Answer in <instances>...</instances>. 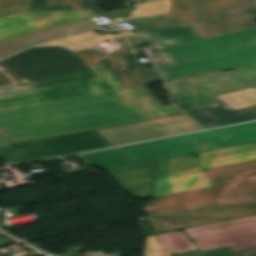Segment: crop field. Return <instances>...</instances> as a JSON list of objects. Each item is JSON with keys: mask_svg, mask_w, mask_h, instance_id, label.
<instances>
[{"mask_svg": "<svg viewBox=\"0 0 256 256\" xmlns=\"http://www.w3.org/2000/svg\"><path fill=\"white\" fill-rule=\"evenodd\" d=\"M181 113L175 106L127 113L108 93L0 113V134L13 143Z\"/></svg>", "mask_w": 256, "mask_h": 256, "instance_id": "1", "label": "crop field"}, {"mask_svg": "<svg viewBox=\"0 0 256 256\" xmlns=\"http://www.w3.org/2000/svg\"><path fill=\"white\" fill-rule=\"evenodd\" d=\"M117 52L85 56L66 48H33L0 62V88L104 68L99 60L135 53L122 39Z\"/></svg>", "mask_w": 256, "mask_h": 256, "instance_id": "2", "label": "crop field"}, {"mask_svg": "<svg viewBox=\"0 0 256 256\" xmlns=\"http://www.w3.org/2000/svg\"><path fill=\"white\" fill-rule=\"evenodd\" d=\"M256 0H172L155 27L194 25L200 39L255 28Z\"/></svg>", "mask_w": 256, "mask_h": 256, "instance_id": "3", "label": "crop field"}, {"mask_svg": "<svg viewBox=\"0 0 256 256\" xmlns=\"http://www.w3.org/2000/svg\"><path fill=\"white\" fill-rule=\"evenodd\" d=\"M256 142V122L203 131L117 149L133 164Z\"/></svg>", "mask_w": 256, "mask_h": 256, "instance_id": "4", "label": "crop field"}, {"mask_svg": "<svg viewBox=\"0 0 256 256\" xmlns=\"http://www.w3.org/2000/svg\"><path fill=\"white\" fill-rule=\"evenodd\" d=\"M110 145L95 131L53 137L37 142L1 147L0 157L9 165L70 155Z\"/></svg>", "mask_w": 256, "mask_h": 256, "instance_id": "5", "label": "crop field"}, {"mask_svg": "<svg viewBox=\"0 0 256 256\" xmlns=\"http://www.w3.org/2000/svg\"><path fill=\"white\" fill-rule=\"evenodd\" d=\"M227 53L158 66L166 79L256 64V38L221 45Z\"/></svg>", "mask_w": 256, "mask_h": 256, "instance_id": "6", "label": "crop field"}, {"mask_svg": "<svg viewBox=\"0 0 256 256\" xmlns=\"http://www.w3.org/2000/svg\"><path fill=\"white\" fill-rule=\"evenodd\" d=\"M252 195H256V179L159 197L144 206L143 209L147 216H150Z\"/></svg>", "mask_w": 256, "mask_h": 256, "instance_id": "7", "label": "crop field"}, {"mask_svg": "<svg viewBox=\"0 0 256 256\" xmlns=\"http://www.w3.org/2000/svg\"><path fill=\"white\" fill-rule=\"evenodd\" d=\"M124 88L113 75L0 97V112Z\"/></svg>", "mask_w": 256, "mask_h": 256, "instance_id": "8", "label": "crop field"}, {"mask_svg": "<svg viewBox=\"0 0 256 256\" xmlns=\"http://www.w3.org/2000/svg\"><path fill=\"white\" fill-rule=\"evenodd\" d=\"M252 215H256V197L151 217L149 220L152 221L158 233H161Z\"/></svg>", "mask_w": 256, "mask_h": 256, "instance_id": "9", "label": "crop field"}, {"mask_svg": "<svg viewBox=\"0 0 256 256\" xmlns=\"http://www.w3.org/2000/svg\"><path fill=\"white\" fill-rule=\"evenodd\" d=\"M202 250L230 246L239 251L256 247V216L185 229Z\"/></svg>", "mask_w": 256, "mask_h": 256, "instance_id": "10", "label": "crop field"}, {"mask_svg": "<svg viewBox=\"0 0 256 256\" xmlns=\"http://www.w3.org/2000/svg\"><path fill=\"white\" fill-rule=\"evenodd\" d=\"M203 129L185 114L96 130L113 146Z\"/></svg>", "mask_w": 256, "mask_h": 256, "instance_id": "11", "label": "crop field"}, {"mask_svg": "<svg viewBox=\"0 0 256 256\" xmlns=\"http://www.w3.org/2000/svg\"><path fill=\"white\" fill-rule=\"evenodd\" d=\"M157 162L155 179L256 160V143Z\"/></svg>", "mask_w": 256, "mask_h": 256, "instance_id": "12", "label": "crop field"}, {"mask_svg": "<svg viewBox=\"0 0 256 256\" xmlns=\"http://www.w3.org/2000/svg\"><path fill=\"white\" fill-rule=\"evenodd\" d=\"M90 16L89 11H37L0 17V39Z\"/></svg>", "mask_w": 256, "mask_h": 256, "instance_id": "13", "label": "crop field"}, {"mask_svg": "<svg viewBox=\"0 0 256 256\" xmlns=\"http://www.w3.org/2000/svg\"><path fill=\"white\" fill-rule=\"evenodd\" d=\"M206 97L256 86V65L183 79Z\"/></svg>", "mask_w": 256, "mask_h": 256, "instance_id": "14", "label": "crop field"}, {"mask_svg": "<svg viewBox=\"0 0 256 256\" xmlns=\"http://www.w3.org/2000/svg\"><path fill=\"white\" fill-rule=\"evenodd\" d=\"M96 27L98 25L88 18L3 39L0 40V59L31 45L60 36L87 31Z\"/></svg>", "mask_w": 256, "mask_h": 256, "instance_id": "15", "label": "crop field"}, {"mask_svg": "<svg viewBox=\"0 0 256 256\" xmlns=\"http://www.w3.org/2000/svg\"><path fill=\"white\" fill-rule=\"evenodd\" d=\"M256 37V28L232 34L216 36L208 39L197 40L177 46L164 47L162 50L173 61H182L183 58H195L206 55L224 53L219 44Z\"/></svg>", "mask_w": 256, "mask_h": 256, "instance_id": "16", "label": "crop field"}, {"mask_svg": "<svg viewBox=\"0 0 256 256\" xmlns=\"http://www.w3.org/2000/svg\"><path fill=\"white\" fill-rule=\"evenodd\" d=\"M102 63L125 88L163 81L155 68L145 69L134 54L103 60Z\"/></svg>", "mask_w": 256, "mask_h": 256, "instance_id": "17", "label": "crop field"}, {"mask_svg": "<svg viewBox=\"0 0 256 256\" xmlns=\"http://www.w3.org/2000/svg\"><path fill=\"white\" fill-rule=\"evenodd\" d=\"M205 128L256 120V105L236 111H228L224 107L198 111L189 115Z\"/></svg>", "mask_w": 256, "mask_h": 256, "instance_id": "18", "label": "crop field"}, {"mask_svg": "<svg viewBox=\"0 0 256 256\" xmlns=\"http://www.w3.org/2000/svg\"><path fill=\"white\" fill-rule=\"evenodd\" d=\"M209 186L204 171L167 177L156 180L153 198Z\"/></svg>", "mask_w": 256, "mask_h": 256, "instance_id": "19", "label": "crop field"}, {"mask_svg": "<svg viewBox=\"0 0 256 256\" xmlns=\"http://www.w3.org/2000/svg\"><path fill=\"white\" fill-rule=\"evenodd\" d=\"M127 111H138L162 106L145 86L109 92Z\"/></svg>", "mask_w": 256, "mask_h": 256, "instance_id": "20", "label": "crop field"}, {"mask_svg": "<svg viewBox=\"0 0 256 256\" xmlns=\"http://www.w3.org/2000/svg\"><path fill=\"white\" fill-rule=\"evenodd\" d=\"M213 186L256 178V161L205 170Z\"/></svg>", "mask_w": 256, "mask_h": 256, "instance_id": "21", "label": "crop field"}, {"mask_svg": "<svg viewBox=\"0 0 256 256\" xmlns=\"http://www.w3.org/2000/svg\"><path fill=\"white\" fill-rule=\"evenodd\" d=\"M110 74L111 73L109 72V70L107 68H104V69L94 70V71H90V72H85V73L60 77V78H56V79L36 82V83H33L30 86H26V87L15 86V87L0 89V96L34 90V89H40V88H45V87H50V86H55V85H60V84H65V83H70V82L110 75Z\"/></svg>", "mask_w": 256, "mask_h": 256, "instance_id": "22", "label": "crop field"}, {"mask_svg": "<svg viewBox=\"0 0 256 256\" xmlns=\"http://www.w3.org/2000/svg\"><path fill=\"white\" fill-rule=\"evenodd\" d=\"M195 27V26H194ZM193 26L156 28L157 31L134 32L138 39L164 40L172 43H185L199 39ZM151 35V36H148Z\"/></svg>", "mask_w": 256, "mask_h": 256, "instance_id": "23", "label": "crop field"}, {"mask_svg": "<svg viewBox=\"0 0 256 256\" xmlns=\"http://www.w3.org/2000/svg\"><path fill=\"white\" fill-rule=\"evenodd\" d=\"M154 164L155 162L111 169L107 172L116 179L120 186H123L152 180Z\"/></svg>", "mask_w": 256, "mask_h": 256, "instance_id": "24", "label": "crop field"}, {"mask_svg": "<svg viewBox=\"0 0 256 256\" xmlns=\"http://www.w3.org/2000/svg\"><path fill=\"white\" fill-rule=\"evenodd\" d=\"M83 156L92 166L101 167L103 170L131 165L114 149L84 154Z\"/></svg>", "mask_w": 256, "mask_h": 256, "instance_id": "25", "label": "crop field"}, {"mask_svg": "<svg viewBox=\"0 0 256 256\" xmlns=\"http://www.w3.org/2000/svg\"><path fill=\"white\" fill-rule=\"evenodd\" d=\"M111 38H114V37L109 33L99 37L94 32L90 31L85 34L58 39V40L50 41L41 45L60 44L71 50H79Z\"/></svg>", "mask_w": 256, "mask_h": 256, "instance_id": "26", "label": "crop field"}, {"mask_svg": "<svg viewBox=\"0 0 256 256\" xmlns=\"http://www.w3.org/2000/svg\"><path fill=\"white\" fill-rule=\"evenodd\" d=\"M211 99L217 101L228 110H235L237 108L256 104V88Z\"/></svg>", "mask_w": 256, "mask_h": 256, "instance_id": "27", "label": "crop field"}, {"mask_svg": "<svg viewBox=\"0 0 256 256\" xmlns=\"http://www.w3.org/2000/svg\"><path fill=\"white\" fill-rule=\"evenodd\" d=\"M158 237L172 252V254L193 251L197 249L183 232H171L158 235Z\"/></svg>", "mask_w": 256, "mask_h": 256, "instance_id": "28", "label": "crop field"}, {"mask_svg": "<svg viewBox=\"0 0 256 256\" xmlns=\"http://www.w3.org/2000/svg\"><path fill=\"white\" fill-rule=\"evenodd\" d=\"M87 10L75 0H32L27 11Z\"/></svg>", "mask_w": 256, "mask_h": 256, "instance_id": "29", "label": "crop field"}, {"mask_svg": "<svg viewBox=\"0 0 256 256\" xmlns=\"http://www.w3.org/2000/svg\"><path fill=\"white\" fill-rule=\"evenodd\" d=\"M167 86L171 92L172 100L176 103L205 98L181 80L170 82Z\"/></svg>", "mask_w": 256, "mask_h": 256, "instance_id": "30", "label": "crop field"}, {"mask_svg": "<svg viewBox=\"0 0 256 256\" xmlns=\"http://www.w3.org/2000/svg\"><path fill=\"white\" fill-rule=\"evenodd\" d=\"M171 13V0H159L137 6L134 17Z\"/></svg>", "mask_w": 256, "mask_h": 256, "instance_id": "31", "label": "crop field"}, {"mask_svg": "<svg viewBox=\"0 0 256 256\" xmlns=\"http://www.w3.org/2000/svg\"><path fill=\"white\" fill-rule=\"evenodd\" d=\"M172 255L160 239L154 235L147 237L144 256H170Z\"/></svg>", "mask_w": 256, "mask_h": 256, "instance_id": "32", "label": "crop field"}, {"mask_svg": "<svg viewBox=\"0 0 256 256\" xmlns=\"http://www.w3.org/2000/svg\"><path fill=\"white\" fill-rule=\"evenodd\" d=\"M30 0H0V16L26 11Z\"/></svg>", "mask_w": 256, "mask_h": 256, "instance_id": "33", "label": "crop field"}, {"mask_svg": "<svg viewBox=\"0 0 256 256\" xmlns=\"http://www.w3.org/2000/svg\"><path fill=\"white\" fill-rule=\"evenodd\" d=\"M150 188L151 181L122 187V189H124L135 199L149 196Z\"/></svg>", "mask_w": 256, "mask_h": 256, "instance_id": "34", "label": "crop field"}, {"mask_svg": "<svg viewBox=\"0 0 256 256\" xmlns=\"http://www.w3.org/2000/svg\"><path fill=\"white\" fill-rule=\"evenodd\" d=\"M176 105L185 112L218 106V105H216L215 103H213L212 101H210L208 99L186 102V103H180V104H176Z\"/></svg>", "mask_w": 256, "mask_h": 256, "instance_id": "35", "label": "crop field"}, {"mask_svg": "<svg viewBox=\"0 0 256 256\" xmlns=\"http://www.w3.org/2000/svg\"><path fill=\"white\" fill-rule=\"evenodd\" d=\"M183 256H236V255L235 253L232 252L230 247H226V248L194 253L189 255H183Z\"/></svg>", "mask_w": 256, "mask_h": 256, "instance_id": "36", "label": "crop field"}, {"mask_svg": "<svg viewBox=\"0 0 256 256\" xmlns=\"http://www.w3.org/2000/svg\"><path fill=\"white\" fill-rule=\"evenodd\" d=\"M80 4H82L85 8H87L92 14L97 15L102 12L97 9L94 5L100 4L99 0H76Z\"/></svg>", "mask_w": 256, "mask_h": 256, "instance_id": "37", "label": "crop field"}, {"mask_svg": "<svg viewBox=\"0 0 256 256\" xmlns=\"http://www.w3.org/2000/svg\"><path fill=\"white\" fill-rule=\"evenodd\" d=\"M140 41V43L142 44V45H146V44H150L149 42H148V40H146V39H141V40H139ZM172 43H169V42H163V41H155L153 44H151V45H153L154 47H156V48H162V47H164V46H167V45H171Z\"/></svg>", "mask_w": 256, "mask_h": 256, "instance_id": "38", "label": "crop field"}, {"mask_svg": "<svg viewBox=\"0 0 256 256\" xmlns=\"http://www.w3.org/2000/svg\"><path fill=\"white\" fill-rule=\"evenodd\" d=\"M237 256H256V248L236 252Z\"/></svg>", "mask_w": 256, "mask_h": 256, "instance_id": "39", "label": "crop field"}, {"mask_svg": "<svg viewBox=\"0 0 256 256\" xmlns=\"http://www.w3.org/2000/svg\"><path fill=\"white\" fill-rule=\"evenodd\" d=\"M10 139L0 135V146H4V145H10Z\"/></svg>", "mask_w": 256, "mask_h": 256, "instance_id": "40", "label": "crop field"}, {"mask_svg": "<svg viewBox=\"0 0 256 256\" xmlns=\"http://www.w3.org/2000/svg\"><path fill=\"white\" fill-rule=\"evenodd\" d=\"M127 42L131 45L132 48L139 46L138 42L136 41V39L134 37H132L131 39L127 40Z\"/></svg>", "mask_w": 256, "mask_h": 256, "instance_id": "41", "label": "crop field"}, {"mask_svg": "<svg viewBox=\"0 0 256 256\" xmlns=\"http://www.w3.org/2000/svg\"><path fill=\"white\" fill-rule=\"evenodd\" d=\"M8 244H14V242L4 238V239H0V246L2 245H8Z\"/></svg>", "mask_w": 256, "mask_h": 256, "instance_id": "42", "label": "crop field"}, {"mask_svg": "<svg viewBox=\"0 0 256 256\" xmlns=\"http://www.w3.org/2000/svg\"><path fill=\"white\" fill-rule=\"evenodd\" d=\"M5 182V180H2V181H0V183H4ZM1 190V189H0Z\"/></svg>", "mask_w": 256, "mask_h": 256, "instance_id": "43", "label": "crop field"}, {"mask_svg": "<svg viewBox=\"0 0 256 256\" xmlns=\"http://www.w3.org/2000/svg\"><path fill=\"white\" fill-rule=\"evenodd\" d=\"M144 1L146 2V1H150V0H144Z\"/></svg>", "mask_w": 256, "mask_h": 256, "instance_id": "44", "label": "crop field"}, {"mask_svg": "<svg viewBox=\"0 0 256 256\" xmlns=\"http://www.w3.org/2000/svg\"><path fill=\"white\" fill-rule=\"evenodd\" d=\"M0 225H2V224H0Z\"/></svg>", "mask_w": 256, "mask_h": 256, "instance_id": "45", "label": "crop field"}]
</instances>
